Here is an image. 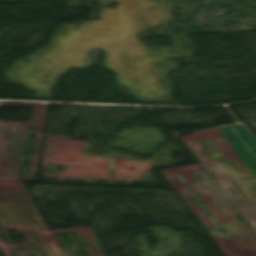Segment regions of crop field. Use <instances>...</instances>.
<instances>
[{
	"label": "crop field",
	"instance_id": "obj_1",
	"mask_svg": "<svg viewBox=\"0 0 256 256\" xmlns=\"http://www.w3.org/2000/svg\"><path fill=\"white\" fill-rule=\"evenodd\" d=\"M225 138L256 176V138L253 134L246 133Z\"/></svg>",
	"mask_w": 256,
	"mask_h": 256
},
{
	"label": "crop field",
	"instance_id": "obj_2",
	"mask_svg": "<svg viewBox=\"0 0 256 256\" xmlns=\"http://www.w3.org/2000/svg\"><path fill=\"white\" fill-rule=\"evenodd\" d=\"M223 136L250 132L245 124L218 128Z\"/></svg>",
	"mask_w": 256,
	"mask_h": 256
}]
</instances>
